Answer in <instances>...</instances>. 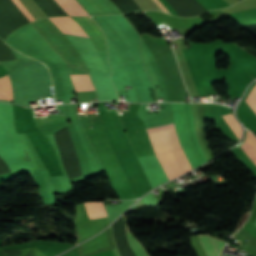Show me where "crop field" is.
<instances>
[{"label": "crop field", "mask_w": 256, "mask_h": 256, "mask_svg": "<svg viewBox=\"0 0 256 256\" xmlns=\"http://www.w3.org/2000/svg\"><path fill=\"white\" fill-rule=\"evenodd\" d=\"M156 154L181 148L173 122L146 128Z\"/></svg>", "instance_id": "1"}, {"label": "crop field", "mask_w": 256, "mask_h": 256, "mask_svg": "<svg viewBox=\"0 0 256 256\" xmlns=\"http://www.w3.org/2000/svg\"><path fill=\"white\" fill-rule=\"evenodd\" d=\"M87 33L97 49L106 50V39L91 17H71Z\"/></svg>", "instance_id": "2"}, {"label": "crop field", "mask_w": 256, "mask_h": 256, "mask_svg": "<svg viewBox=\"0 0 256 256\" xmlns=\"http://www.w3.org/2000/svg\"><path fill=\"white\" fill-rule=\"evenodd\" d=\"M90 15L120 13L110 0H77Z\"/></svg>", "instance_id": "3"}, {"label": "crop field", "mask_w": 256, "mask_h": 256, "mask_svg": "<svg viewBox=\"0 0 256 256\" xmlns=\"http://www.w3.org/2000/svg\"><path fill=\"white\" fill-rule=\"evenodd\" d=\"M169 180L183 174V171L172 151L157 155Z\"/></svg>", "instance_id": "4"}, {"label": "crop field", "mask_w": 256, "mask_h": 256, "mask_svg": "<svg viewBox=\"0 0 256 256\" xmlns=\"http://www.w3.org/2000/svg\"><path fill=\"white\" fill-rule=\"evenodd\" d=\"M50 19L63 33L88 38L81 27L70 17H54Z\"/></svg>", "instance_id": "5"}, {"label": "crop field", "mask_w": 256, "mask_h": 256, "mask_svg": "<svg viewBox=\"0 0 256 256\" xmlns=\"http://www.w3.org/2000/svg\"><path fill=\"white\" fill-rule=\"evenodd\" d=\"M76 91L95 90L88 74H69Z\"/></svg>", "instance_id": "6"}, {"label": "crop field", "mask_w": 256, "mask_h": 256, "mask_svg": "<svg viewBox=\"0 0 256 256\" xmlns=\"http://www.w3.org/2000/svg\"><path fill=\"white\" fill-rule=\"evenodd\" d=\"M240 148L256 165V138L250 132L247 131V138Z\"/></svg>", "instance_id": "7"}, {"label": "crop field", "mask_w": 256, "mask_h": 256, "mask_svg": "<svg viewBox=\"0 0 256 256\" xmlns=\"http://www.w3.org/2000/svg\"><path fill=\"white\" fill-rule=\"evenodd\" d=\"M85 205L90 219L107 216L102 202H85Z\"/></svg>", "instance_id": "8"}, {"label": "crop field", "mask_w": 256, "mask_h": 256, "mask_svg": "<svg viewBox=\"0 0 256 256\" xmlns=\"http://www.w3.org/2000/svg\"><path fill=\"white\" fill-rule=\"evenodd\" d=\"M0 99L12 101V88L8 75L0 78Z\"/></svg>", "instance_id": "9"}, {"label": "crop field", "mask_w": 256, "mask_h": 256, "mask_svg": "<svg viewBox=\"0 0 256 256\" xmlns=\"http://www.w3.org/2000/svg\"><path fill=\"white\" fill-rule=\"evenodd\" d=\"M224 119L226 120L234 134L237 136V138L240 140L242 135V128L237 120L233 117L232 114L224 116Z\"/></svg>", "instance_id": "10"}, {"label": "crop field", "mask_w": 256, "mask_h": 256, "mask_svg": "<svg viewBox=\"0 0 256 256\" xmlns=\"http://www.w3.org/2000/svg\"><path fill=\"white\" fill-rule=\"evenodd\" d=\"M127 234L130 240V244L133 250V253L135 256H147L145 250L143 249V247L141 246L140 243H138L129 233V230L127 228Z\"/></svg>", "instance_id": "11"}, {"label": "crop field", "mask_w": 256, "mask_h": 256, "mask_svg": "<svg viewBox=\"0 0 256 256\" xmlns=\"http://www.w3.org/2000/svg\"><path fill=\"white\" fill-rule=\"evenodd\" d=\"M175 156L177 157V159L179 160L184 172H188L190 170H192L186 156L184 155L182 149H179V150H175L173 151Z\"/></svg>", "instance_id": "12"}, {"label": "crop field", "mask_w": 256, "mask_h": 256, "mask_svg": "<svg viewBox=\"0 0 256 256\" xmlns=\"http://www.w3.org/2000/svg\"><path fill=\"white\" fill-rule=\"evenodd\" d=\"M68 4L77 12L79 16H89L88 13L76 0H66Z\"/></svg>", "instance_id": "13"}, {"label": "crop field", "mask_w": 256, "mask_h": 256, "mask_svg": "<svg viewBox=\"0 0 256 256\" xmlns=\"http://www.w3.org/2000/svg\"><path fill=\"white\" fill-rule=\"evenodd\" d=\"M13 2L16 4V6L21 10V12L27 17V19L32 22L36 20L31 13L24 7V5L21 3L20 0H13Z\"/></svg>", "instance_id": "14"}, {"label": "crop field", "mask_w": 256, "mask_h": 256, "mask_svg": "<svg viewBox=\"0 0 256 256\" xmlns=\"http://www.w3.org/2000/svg\"><path fill=\"white\" fill-rule=\"evenodd\" d=\"M246 101L253 109V111L256 113V86L253 88L252 92L250 93Z\"/></svg>", "instance_id": "15"}, {"label": "crop field", "mask_w": 256, "mask_h": 256, "mask_svg": "<svg viewBox=\"0 0 256 256\" xmlns=\"http://www.w3.org/2000/svg\"><path fill=\"white\" fill-rule=\"evenodd\" d=\"M158 6L165 12L169 13L168 10L162 5V3L159 0H154Z\"/></svg>", "instance_id": "16"}]
</instances>
